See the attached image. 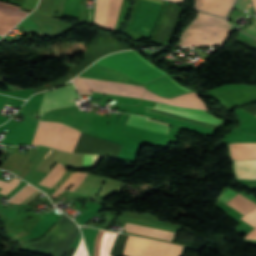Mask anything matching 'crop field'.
<instances>
[{
	"mask_svg": "<svg viewBox=\"0 0 256 256\" xmlns=\"http://www.w3.org/2000/svg\"><path fill=\"white\" fill-rule=\"evenodd\" d=\"M191 94L194 95L200 101V103L202 104L203 109L206 110L205 103L196 94H194V93H191Z\"/></svg>",
	"mask_w": 256,
	"mask_h": 256,
	"instance_id": "e1f06a70",
	"label": "crop field"
},
{
	"mask_svg": "<svg viewBox=\"0 0 256 256\" xmlns=\"http://www.w3.org/2000/svg\"><path fill=\"white\" fill-rule=\"evenodd\" d=\"M73 83L79 92L92 93L91 91H94L102 93L101 80L77 77L73 80Z\"/></svg>",
	"mask_w": 256,
	"mask_h": 256,
	"instance_id": "bc2a9ffb",
	"label": "crop field"
},
{
	"mask_svg": "<svg viewBox=\"0 0 256 256\" xmlns=\"http://www.w3.org/2000/svg\"><path fill=\"white\" fill-rule=\"evenodd\" d=\"M117 234L100 230L96 239L94 256H109Z\"/></svg>",
	"mask_w": 256,
	"mask_h": 256,
	"instance_id": "22f410ed",
	"label": "crop field"
},
{
	"mask_svg": "<svg viewBox=\"0 0 256 256\" xmlns=\"http://www.w3.org/2000/svg\"><path fill=\"white\" fill-rule=\"evenodd\" d=\"M65 170L66 168L58 163L39 184L51 188L63 176Z\"/></svg>",
	"mask_w": 256,
	"mask_h": 256,
	"instance_id": "00972430",
	"label": "crop field"
},
{
	"mask_svg": "<svg viewBox=\"0 0 256 256\" xmlns=\"http://www.w3.org/2000/svg\"><path fill=\"white\" fill-rule=\"evenodd\" d=\"M163 4V0H150ZM146 0H137L135 11L127 29L148 39L160 14L162 4Z\"/></svg>",
	"mask_w": 256,
	"mask_h": 256,
	"instance_id": "dd49c442",
	"label": "crop field"
},
{
	"mask_svg": "<svg viewBox=\"0 0 256 256\" xmlns=\"http://www.w3.org/2000/svg\"><path fill=\"white\" fill-rule=\"evenodd\" d=\"M42 192H40L39 190L37 192H35L33 195H31L28 199H26L24 202L22 203H29L30 201H32L34 198H36L39 194H41Z\"/></svg>",
	"mask_w": 256,
	"mask_h": 256,
	"instance_id": "028f5c9d",
	"label": "crop field"
},
{
	"mask_svg": "<svg viewBox=\"0 0 256 256\" xmlns=\"http://www.w3.org/2000/svg\"><path fill=\"white\" fill-rule=\"evenodd\" d=\"M124 228L127 229V232L136 233V234L145 235V236L163 239V240H168V241H171L174 235L173 232L147 228V227L133 225L129 223H126Z\"/></svg>",
	"mask_w": 256,
	"mask_h": 256,
	"instance_id": "cbeb9de0",
	"label": "crop field"
},
{
	"mask_svg": "<svg viewBox=\"0 0 256 256\" xmlns=\"http://www.w3.org/2000/svg\"><path fill=\"white\" fill-rule=\"evenodd\" d=\"M256 11V0H252Z\"/></svg>",
	"mask_w": 256,
	"mask_h": 256,
	"instance_id": "0bd39190",
	"label": "crop field"
},
{
	"mask_svg": "<svg viewBox=\"0 0 256 256\" xmlns=\"http://www.w3.org/2000/svg\"><path fill=\"white\" fill-rule=\"evenodd\" d=\"M158 103H156L155 107L152 108V109H156V110H159V111H163V112H167V113H171V114H175V115H179V116H183V117H187V118H191V119H195V120H199V121H203V122H207V123H211V124H215V125H219V124L223 123V121L217 120L218 118L213 119V118H216V117L210 115L209 113H207L204 110L177 107V108H180V109L188 110V111H191V112L199 113V114L210 116V117H213V118L202 116V115L195 114V113H191V112L184 111V110H180V109H177V108H173V107H176V106L169 107L171 105L166 106L167 104L162 105L164 103H162V104H158Z\"/></svg>",
	"mask_w": 256,
	"mask_h": 256,
	"instance_id": "5a996713",
	"label": "crop field"
},
{
	"mask_svg": "<svg viewBox=\"0 0 256 256\" xmlns=\"http://www.w3.org/2000/svg\"><path fill=\"white\" fill-rule=\"evenodd\" d=\"M180 246L160 242L154 256H180Z\"/></svg>",
	"mask_w": 256,
	"mask_h": 256,
	"instance_id": "4177f3b9",
	"label": "crop field"
},
{
	"mask_svg": "<svg viewBox=\"0 0 256 256\" xmlns=\"http://www.w3.org/2000/svg\"><path fill=\"white\" fill-rule=\"evenodd\" d=\"M74 256H88L82 238Z\"/></svg>",
	"mask_w": 256,
	"mask_h": 256,
	"instance_id": "120bbe31",
	"label": "crop field"
},
{
	"mask_svg": "<svg viewBox=\"0 0 256 256\" xmlns=\"http://www.w3.org/2000/svg\"><path fill=\"white\" fill-rule=\"evenodd\" d=\"M70 80L69 78V74H67L66 76L60 78V79H57V80H54V81H51L43 86H40V87H35L34 90L35 92H39V91H43V90H47V89H50V88H53L55 86H58V85H61L63 83H66Z\"/></svg>",
	"mask_w": 256,
	"mask_h": 256,
	"instance_id": "ae1a2a85",
	"label": "crop field"
},
{
	"mask_svg": "<svg viewBox=\"0 0 256 256\" xmlns=\"http://www.w3.org/2000/svg\"><path fill=\"white\" fill-rule=\"evenodd\" d=\"M237 178L256 179V159L234 161Z\"/></svg>",
	"mask_w": 256,
	"mask_h": 256,
	"instance_id": "4a817a6b",
	"label": "crop field"
},
{
	"mask_svg": "<svg viewBox=\"0 0 256 256\" xmlns=\"http://www.w3.org/2000/svg\"><path fill=\"white\" fill-rule=\"evenodd\" d=\"M19 181H17L16 179H12L1 191L0 193H3L5 195H7L11 190H13L17 185H18Z\"/></svg>",
	"mask_w": 256,
	"mask_h": 256,
	"instance_id": "750c4746",
	"label": "crop field"
},
{
	"mask_svg": "<svg viewBox=\"0 0 256 256\" xmlns=\"http://www.w3.org/2000/svg\"><path fill=\"white\" fill-rule=\"evenodd\" d=\"M18 6L0 1V12L22 20L28 13L18 10ZM0 13V35H5L20 20Z\"/></svg>",
	"mask_w": 256,
	"mask_h": 256,
	"instance_id": "d8731c3e",
	"label": "crop field"
},
{
	"mask_svg": "<svg viewBox=\"0 0 256 256\" xmlns=\"http://www.w3.org/2000/svg\"><path fill=\"white\" fill-rule=\"evenodd\" d=\"M104 180L105 177L88 173L84 181L74 191L96 196Z\"/></svg>",
	"mask_w": 256,
	"mask_h": 256,
	"instance_id": "5142ce71",
	"label": "crop field"
},
{
	"mask_svg": "<svg viewBox=\"0 0 256 256\" xmlns=\"http://www.w3.org/2000/svg\"><path fill=\"white\" fill-rule=\"evenodd\" d=\"M146 240L128 237L125 245L123 256H141Z\"/></svg>",
	"mask_w": 256,
	"mask_h": 256,
	"instance_id": "214f88e0",
	"label": "crop field"
},
{
	"mask_svg": "<svg viewBox=\"0 0 256 256\" xmlns=\"http://www.w3.org/2000/svg\"><path fill=\"white\" fill-rule=\"evenodd\" d=\"M77 225L62 214L58 222L42 240L34 243H24L20 250L32 251L51 256H62L68 251L80 230Z\"/></svg>",
	"mask_w": 256,
	"mask_h": 256,
	"instance_id": "34b2d1b8",
	"label": "crop field"
},
{
	"mask_svg": "<svg viewBox=\"0 0 256 256\" xmlns=\"http://www.w3.org/2000/svg\"><path fill=\"white\" fill-rule=\"evenodd\" d=\"M148 118L149 117H145V116L130 115L127 124L168 134L169 126H167V125H169V124H167V125H163L166 123L159 124L162 122L155 123L158 121L151 122L154 120L148 121Z\"/></svg>",
	"mask_w": 256,
	"mask_h": 256,
	"instance_id": "d9b57169",
	"label": "crop field"
},
{
	"mask_svg": "<svg viewBox=\"0 0 256 256\" xmlns=\"http://www.w3.org/2000/svg\"><path fill=\"white\" fill-rule=\"evenodd\" d=\"M236 194L237 193L228 188L222 195L219 196L218 199L226 203Z\"/></svg>",
	"mask_w": 256,
	"mask_h": 256,
	"instance_id": "1d83c4d3",
	"label": "crop field"
},
{
	"mask_svg": "<svg viewBox=\"0 0 256 256\" xmlns=\"http://www.w3.org/2000/svg\"><path fill=\"white\" fill-rule=\"evenodd\" d=\"M127 49L131 48L120 43L109 34L99 30L86 51L85 59L72 69L70 73L71 79L99 58L112 52Z\"/></svg>",
	"mask_w": 256,
	"mask_h": 256,
	"instance_id": "f4fd0767",
	"label": "crop field"
},
{
	"mask_svg": "<svg viewBox=\"0 0 256 256\" xmlns=\"http://www.w3.org/2000/svg\"><path fill=\"white\" fill-rule=\"evenodd\" d=\"M38 189L27 185L24 187L21 191H19L15 196H13L9 202H15V203H21L23 200H25L27 197H29L31 194H33Z\"/></svg>",
	"mask_w": 256,
	"mask_h": 256,
	"instance_id": "730fd06b",
	"label": "crop field"
},
{
	"mask_svg": "<svg viewBox=\"0 0 256 256\" xmlns=\"http://www.w3.org/2000/svg\"><path fill=\"white\" fill-rule=\"evenodd\" d=\"M232 159L256 158V143H234L230 144Z\"/></svg>",
	"mask_w": 256,
	"mask_h": 256,
	"instance_id": "733c2abd",
	"label": "crop field"
},
{
	"mask_svg": "<svg viewBox=\"0 0 256 256\" xmlns=\"http://www.w3.org/2000/svg\"><path fill=\"white\" fill-rule=\"evenodd\" d=\"M180 14V9L169 5L166 8L164 17L155 33L153 36V39L159 41V42H166L172 28L174 27L178 17Z\"/></svg>",
	"mask_w": 256,
	"mask_h": 256,
	"instance_id": "3316defc",
	"label": "crop field"
},
{
	"mask_svg": "<svg viewBox=\"0 0 256 256\" xmlns=\"http://www.w3.org/2000/svg\"><path fill=\"white\" fill-rule=\"evenodd\" d=\"M235 0H196L195 8L225 16Z\"/></svg>",
	"mask_w": 256,
	"mask_h": 256,
	"instance_id": "d1516ede",
	"label": "crop field"
},
{
	"mask_svg": "<svg viewBox=\"0 0 256 256\" xmlns=\"http://www.w3.org/2000/svg\"><path fill=\"white\" fill-rule=\"evenodd\" d=\"M71 172L66 171L64 176L59 180V182L53 187L54 189H57L70 175Z\"/></svg>",
	"mask_w": 256,
	"mask_h": 256,
	"instance_id": "d32e631a",
	"label": "crop field"
},
{
	"mask_svg": "<svg viewBox=\"0 0 256 256\" xmlns=\"http://www.w3.org/2000/svg\"><path fill=\"white\" fill-rule=\"evenodd\" d=\"M123 185H124V183H121V182H118V181L108 178L105 185L101 189L100 194L107 195L111 192H115V191L119 190Z\"/></svg>",
	"mask_w": 256,
	"mask_h": 256,
	"instance_id": "eef30255",
	"label": "crop field"
},
{
	"mask_svg": "<svg viewBox=\"0 0 256 256\" xmlns=\"http://www.w3.org/2000/svg\"><path fill=\"white\" fill-rule=\"evenodd\" d=\"M77 97L78 94L75 92L73 84L45 92L40 114L42 115L50 109L73 105L74 98Z\"/></svg>",
	"mask_w": 256,
	"mask_h": 256,
	"instance_id": "e52e79f7",
	"label": "crop field"
},
{
	"mask_svg": "<svg viewBox=\"0 0 256 256\" xmlns=\"http://www.w3.org/2000/svg\"><path fill=\"white\" fill-rule=\"evenodd\" d=\"M97 157L98 156H95L93 167L96 165ZM93 158H94V156L84 155L83 167L92 168Z\"/></svg>",
	"mask_w": 256,
	"mask_h": 256,
	"instance_id": "bd1437ed",
	"label": "crop field"
},
{
	"mask_svg": "<svg viewBox=\"0 0 256 256\" xmlns=\"http://www.w3.org/2000/svg\"><path fill=\"white\" fill-rule=\"evenodd\" d=\"M254 26H256V20H255ZM254 26H252V27H250V28H248V29L251 30V31L256 32V27H254ZM248 29L244 30V32L247 33V34H249V35H251V36L256 37V33H253V32H251V31H249Z\"/></svg>",
	"mask_w": 256,
	"mask_h": 256,
	"instance_id": "5866460e",
	"label": "crop field"
},
{
	"mask_svg": "<svg viewBox=\"0 0 256 256\" xmlns=\"http://www.w3.org/2000/svg\"><path fill=\"white\" fill-rule=\"evenodd\" d=\"M167 77L169 80L174 82L179 88L190 91L188 89L181 87L177 82L172 80L169 75H167ZM168 79L166 78V76H164L160 79H157L151 83L146 84V86L149 87L151 90H153L159 94L165 95L167 97H170L172 95H176V94H179L182 92H187V91L179 89L174 83H172Z\"/></svg>",
	"mask_w": 256,
	"mask_h": 256,
	"instance_id": "28ad6ade",
	"label": "crop field"
},
{
	"mask_svg": "<svg viewBox=\"0 0 256 256\" xmlns=\"http://www.w3.org/2000/svg\"><path fill=\"white\" fill-rule=\"evenodd\" d=\"M253 238H256V234L253 236Z\"/></svg>",
	"mask_w": 256,
	"mask_h": 256,
	"instance_id": "b80d0937",
	"label": "crop field"
},
{
	"mask_svg": "<svg viewBox=\"0 0 256 256\" xmlns=\"http://www.w3.org/2000/svg\"><path fill=\"white\" fill-rule=\"evenodd\" d=\"M80 134L78 130L60 123L40 121L32 144L72 152ZM121 147L116 143L81 134L73 152L99 154L116 160Z\"/></svg>",
	"mask_w": 256,
	"mask_h": 256,
	"instance_id": "8a807250",
	"label": "crop field"
},
{
	"mask_svg": "<svg viewBox=\"0 0 256 256\" xmlns=\"http://www.w3.org/2000/svg\"><path fill=\"white\" fill-rule=\"evenodd\" d=\"M122 0H110L106 28L115 30Z\"/></svg>",
	"mask_w": 256,
	"mask_h": 256,
	"instance_id": "92a150f3",
	"label": "crop field"
},
{
	"mask_svg": "<svg viewBox=\"0 0 256 256\" xmlns=\"http://www.w3.org/2000/svg\"><path fill=\"white\" fill-rule=\"evenodd\" d=\"M134 52L136 55H138L140 58H142L138 53ZM131 51H127V52H122V53H117V54H113L110 56H107L105 58L100 59L97 63L113 68V69H117L121 72H123L124 74L128 75L129 77L137 80L140 83L143 82H147L150 80H153L157 77H160L166 73H164L163 71L159 70L158 68H156L155 66L151 65L152 67L156 68L157 70H159L160 72L164 73H160L159 71H157L156 69L152 68L151 66H149L147 63H145L143 60H141L139 57H137L135 54H133Z\"/></svg>",
	"mask_w": 256,
	"mask_h": 256,
	"instance_id": "412701ff",
	"label": "crop field"
},
{
	"mask_svg": "<svg viewBox=\"0 0 256 256\" xmlns=\"http://www.w3.org/2000/svg\"><path fill=\"white\" fill-rule=\"evenodd\" d=\"M159 242L148 240L142 256H153Z\"/></svg>",
	"mask_w": 256,
	"mask_h": 256,
	"instance_id": "d3111659",
	"label": "crop field"
},
{
	"mask_svg": "<svg viewBox=\"0 0 256 256\" xmlns=\"http://www.w3.org/2000/svg\"><path fill=\"white\" fill-rule=\"evenodd\" d=\"M229 24L224 20L197 14L185 31L180 35V46H208L222 45L230 32Z\"/></svg>",
	"mask_w": 256,
	"mask_h": 256,
	"instance_id": "ac0d7876",
	"label": "crop field"
},
{
	"mask_svg": "<svg viewBox=\"0 0 256 256\" xmlns=\"http://www.w3.org/2000/svg\"><path fill=\"white\" fill-rule=\"evenodd\" d=\"M87 175V173L84 172H73L71 174V176L68 178V180L61 185L53 194L52 196H57L58 194H60L61 192H63L64 190H66L72 183L74 184L69 190L73 191L85 178V176Z\"/></svg>",
	"mask_w": 256,
	"mask_h": 256,
	"instance_id": "dafd665d",
	"label": "crop field"
},
{
	"mask_svg": "<svg viewBox=\"0 0 256 256\" xmlns=\"http://www.w3.org/2000/svg\"><path fill=\"white\" fill-rule=\"evenodd\" d=\"M109 0L96 1L95 24L105 28Z\"/></svg>",
	"mask_w": 256,
	"mask_h": 256,
	"instance_id": "a9b5d70f",
	"label": "crop field"
}]
</instances>
